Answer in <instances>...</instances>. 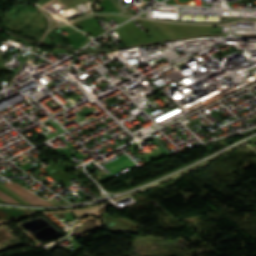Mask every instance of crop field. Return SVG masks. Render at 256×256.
<instances>
[{
    "instance_id": "ac0d7876",
    "label": "crop field",
    "mask_w": 256,
    "mask_h": 256,
    "mask_svg": "<svg viewBox=\"0 0 256 256\" xmlns=\"http://www.w3.org/2000/svg\"><path fill=\"white\" fill-rule=\"evenodd\" d=\"M32 211H35V210H32ZM32 211L0 207V218L3 220H10V219L27 214Z\"/></svg>"
},
{
    "instance_id": "412701ff",
    "label": "crop field",
    "mask_w": 256,
    "mask_h": 256,
    "mask_svg": "<svg viewBox=\"0 0 256 256\" xmlns=\"http://www.w3.org/2000/svg\"><path fill=\"white\" fill-rule=\"evenodd\" d=\"M249 143H250V145L256 144V138L251 140V141H249Z\"/></svg>"
},
{
    "instance_id": "34b2d1b8",
    "label": "crop field",
    "mask_w": 256,
    "mask_h": 256,
    "mask_svg": "<svg viewBox=\"0 0 256 256\" xmlns=\"http://www.w3.org/2000/svg\"><path fill=\"white\" fill-rule=\"evenodd\" d=\"M256 137V136H255ZM254 138V137H253ZM252 139V138H251ZM250 140V139H249ZM248 141V140H247ZM247 141H245V142H243V143H241V144H239V145H237V146H235V147H233V148H231V149H229V150H227V151H225V152H223V153H221V154H219V155H217V156H215V157H213V158H210V159H208V160H206V161H204V162H202V163H200V164H198V165H196V166H193V167H191V168H189V169H187V170H185V171H188V170H190V169H193V168H195V167H198V166H200V165H202V164H204V163H206V162H208V161H210V160H212V159H214V158H216V157H218V156H220V155H222V154H224V153H226V152H228V151H230V150H232V149H234V148H236V147H238V146H240V145H242V144H244V143H247ZM185 171H183V172H185ZM183 172H181V173H183ZM180 174V173H179ZM176 175H178V174H176ZM175 176V175H174ZM173 177V176H172ZM169 178H171V177H169ZM168 179V178H167ZM166 180V179H165ZM163 181V180H162ZM161 182V181H160ZM159 183V182H158ZM156 184V183H155ZM154 185V184H153ZM151 186V185H150ZM146 188V187H145ZM144 189V188H143ZM140 190H142V189H140ZM140 190H138V191H140ZM138 191H135V192H138ZM135 192H133V193H135ZM133 193H131V194H133ZM128 195H130V194H128ZM125 196H127V195H125ZM125 196H122V197H120V198H116V200H118V199H121V198H123V197H125Z\"/></svg>"
},
{
    "instance_id": "8a807250",
    "label": "crop field",
    "mask_w": 256,
    "mask_h": 256,
    "mask_svg": "<svg viewBox=\"0 0 256 256\" xmlns=\"http://www.w3.org/2000/svg\"><path fill=\"white\" fill-rule=\"evenodd\" d=\"M7 187H9L10 189H12L13 191H15L20 196H22L23 198H25L26 200H28L29 202H31L33 204H36V205H51V204L47 203L46 201L36 197L32 193L24 190L16 182L7 186Z\"/></svg>"
},
{
    "instance_id": "f4fd0767",
    "label": "crop field",
    "mask_w": 256,
    "mask_h": 256,
    "mask_svg": "<svg viewBox=\"0 0 256 256\" xmlns=\"http://www.w3.org/2000/svg\"><path fill=\"white\" fill-rule=\"evenodd\" d=\"M0 198H2V199H4V200L8 201L7 199H5L4 197H2L1 195H0ZM9 202H10V201H9Z\"/></svg>"
}]
</instances>
